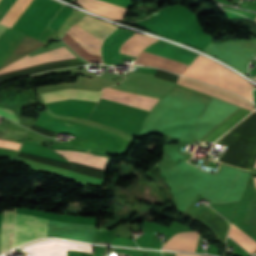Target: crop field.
<instances>
[{"label": "crop field", "instance_id": "5142ce71", "mask_svg": "<svg viewBox=\"0 0 256 256\" xmlns=\"http://www.w3.org/2000/svg\"><path fill=\"white\" fill-rule=\"evenodd\" d=\"M15 0H0V20L12 6Z\"/></svg>", "mask_w": 256, "mask_h": 256}, {"label": "crop field", "instance_id": "dd49c442", "mask_svg": "<svg viewBox=\"0 0 256 256\" xmlns=\"http://www.w3.org/2000/svg\"><path fill=\"white\" fill-rule=\"evenodd\" d=\"M76 58L72 53H70L64 46L54 49L52 51L46 52L44 54L35 56L30 58L28 55L25 57L17 60L16 62L12 63L11 65L3 68L0 70V74L10 72L13 70L51 63L56 61L68 60Z\"/></svg>", "mask_w": 256, "mask_h": 256}, {"label": "crop field", "instance_id": "28ad6ade", "mask_svg": "<svg viewBox=\"0 0 256 256\" xmlns=\"http://www.w3.org/2000/svg\"><path fill=\"white\" fill-rule=\"evenodd\" d=\"M56 152L66 157L70 161L101 168V169L104 168V165L107 159L105 157H100V156L76 152V151H56Z\"/></svg>", "mask_w": 256, "mask_h": 256}, {"label": "crop field", "instance_id": "e52e79f7", "mask_svg": "<svg viewBox=\"0 0 256 256\" xmlns=\"http://www.w3.org/2000/svg\"><path fill=\"white\" fill-rule=\"evenodd\" d=\"M103 98L114 100L127 105L135 106L138 108L150 110L154 104L159 101L158 99L145 97L137 94H132L124 91H119L111 88L103 89Z\"/></svg>", "mask_w": 256, "mask_h": 256}, {"label": "crop field", "instance_id": "733c2abd", "mask_svg": "<svg viewBox=\"0 0 256 256\" xmlns=\"http://www.w3.org/2000/svg\"><path fill=\"white\" fill-rule=\"evenodd\" d=\"M2 25V24H1ZM0 25V35L7 29L6 27H3Z\"/></svg>", "mask_w": 256, "mask_h": 256}, {"label": "crop field", "instance_id": "3316defc", "mask_svg": "<svg viewBox=\"0 0 256 256\" xmlns=\"http://www.w3.org/2000/svg\"><path fill=\"white\" fill-rule=\"evenodd\" d=\"M196 219L211 228L221 241L225 239L226 232L229 228V223L214 210L209 208L198 215Z\"/></svg>", "mask_w": 256, "mask_h": 256}, {"label": "crop field", "instance_id": "22f410ed", "mask_svg": "<svg viewBox=\"0 0 256 256\" xmlns=\"http://www.w3.org/2000/svg\"><path fill=\"white\" fill-rule=\"evenodd\" d=\"M14 211H4L1 225V253L10 249L9 239L13 228ZM11 244V240H10Z\"/></svg>", "mask_w": 256, "mask_h": 256}, {"label": "crop field", "instance_id": "dafd665d", "mask_svg": "<svg viewBox=\"0 0 256 256\" xmlns=\"http://www.w3.org/2000/svg\"><path fill=\"white\" fill-rule=\"evenodd\" d=\"M254 78L256 79V76Z\"/></svg>", "mask_w": 256, "mask_h": 256}, {"label": "crop field", "instance_id": "8a807250", "mask_svg": "<svg viewBox=\"0 0 256 256\" xmlns=\"http://www.w3.org/2000/svg\"><path fill=\"white\" fill-rule=\"evenodd\" d=\"M183 75L213 84L252 100L250 90L255 87L226 68L200 55L191 63Z\"/></svg>", "mask_w": 256, "mask_h": 256}, {"label": "crop field", "instance_id": "92a150f3", "mask_svg": "<svg viewBox=\"0 0 256 256\" xmlns=\"http://www.w3.org/2000/svg\"><path fill=\"white\" fill-rule=\"evenodd\" d=\"M254 20L256 21V18Z\"/></svg>", "mask_w": 256, "mask_h": 256}, {"label": "crop field", "instance_id": "ac0d7876", "mask_svg": "<svg viewBox=\"0 0 256 256\" xmlns=\"http://www.w3.org/2000/svg\"><path fill=\"white\" fill-rule=\"evenodd\" d=\"M178 84L192 88L198 91H201L203 93H206L208 95H212L221 99H224L230 103H233L235 105H238L240 107L253 110L254 106L252 103L225 91L219 90L217 88L211 87L209 85L185 78L180 77ZM241 108L238 110L234 115H232L228 120H226L222 125H220L216 130H214L210 135H208L204 140L202 141H211L213 142L215 139H217L219 136H221L224 132H226L229 128H231L233 125H235L237 122H239L242 118H244L250 111Z\"/></svg>", "mask_w": 256, "mask_h": 256}, {"label": "crop field", "instance_id": "412701ff", "mask_svg": "<svg viewBox=\"0 0 256 256\" xmlns=\"http://www.w3.org/2000/svg\"><path fill=\"white\" fill-rule=\"evenodd\" d=\"M48 220L16 212L13 247L44 238Z\"/></svg>", "mask_w": 256, "mask_h": 256}, {"label": "crop field", "instance_id": "bc2a9ffb", "mask_svg": "<svg viewBox=\"0 0 256 256\" xmlns=\"http://www.w3.org/2000/svg\"><path fill=\"white\" fill-rule=\"evenodd\" d=\"M255 179V185H256V178H254Z\"/></svg>", "mask_w": 256, "mask_h": 256}, {"label": "crop field", "instance_id": "d8731c3e", "mask_svg": "<svg viewBox=\"0 0 256 256\" xmlns=\"http://www.w3.org/2000/svg\"><path fill=\"white\" fill-rule=\"evenodd\" d=\"M54 113L70 116H78L88 119L94 103L87 102H77V101H68V102H59V103H50L46 104Z\"/></svg>", "mask_w": 256, "mask_h": 256}, {"label": "crop field", "instance_id": "cbeb9de0", "mask_svg": "<svg viewBox=\"0 0 256 256\" xmlns=\"http://www.w3.org/2000/svg\"><path fill=\"white\" fill-rule=\"evenodd\" d=\"M25 133L0 128V146L20 150Z\"/></svg>", "mask_w": 256, "mask_h": 256}, {"label": "crop field", "instance_id": "34b2d1b8", "mask_svg": "<svg viewBox=\"0 0 256 256\" xmlns=\"http://www.w3.org/2000/svg\"><path fill=\"white\" fill-rule=\"evenodd\" d=\"M74 25H76L101 43L104 38L116 28L109 23L95 19L84 13L79 16ZM74 25L67 34H69L70 36L84 44L86 47L100 55L101 43H99Z\"/></svg>", "mask_w": 256, "mask_h": 256}, {"label": "crop field", "instance_id": "4a817a6b", "mask_svg": "<svg viewBox=\"0 0 256 256\" xmlns=\"http://www.w3.org/2000/svg\"><path fill=\"white\" fill-rule=\"evenodd\" d=\"M210 159H211V160H213V161H215V160H214V159H212L211 157H210ZM215 162H217V161H215ZM217 163H219V162H217Z\"/></svg>", "mask_w": 256, "mask_h": 256}, {"label": "crop field", "instance_id": "5a996713", "mask_svg": "<svg viewBox=\"0 0 256 256\" xmlns=\"http://www.w3.org/2000/svg\"><path fill=\"white\" fill-rule=\"evenodd\" d=\"M200 232L177 233L168 240L163 249L195 252Z\"/></svg>", "mask_w": 256, "mask_h": 256}, {"label": "crop field", "instance_id": "d1516ede", "mask_svg": "<svg viewBox=\"0 0 256 256\" xmlns=\"http://www.w3.org/2000/svg\"><path fill=\"white\" fill-rule=\"evenodd\" d=\"M156 40L153 37L136 33L123 44L120 53L136 57L143 48Z\"/></svg>", "mask_w": 256, "mask_h": 256}, {"label": "crop field", "instance_id": "00972430", "mask_svg": "<svg viewBox=\"0 0 256 256\" xmlns=\"http://www.w3.org/2000/svg\"><path fill=\"white\" fill-rule=\"evenodd\" d=\"M255 166H256V164H255Z\"/></svg>", "mask_w": 256, "mask_h": 256}, {"label": "crop field", "instance_id": "f4fd0767", "mask_svg": "<svg viewBox=\"0 0 256 256\" xmlns=\"http://www.w3.org/2000/svg\"><path fill=\"white\" fill-rule=\"evenodd\" d=\"M33 256H66L67 250L93 251L92 245L63 240H43L22 248Z\"/></svg>", "mask_w": 256, "mask_h": 256}, {"label": "crop field", "instance_id": "d9b57169", "mask_svg": "<svg viewBox=\"0 0 256 256\" xmlns=\"http://www.w3.org/2000/svg\"><path fill=\"white\" fill-rule=\"evenodd\" d=\"M176 256H198V255L184 254V253H176Z\"/></svg>", "mask_w": 256, "mask_h": 256}, {"label": "crop field", "instance_id": "214f88e0", "mask_svg": "<svg viewBox=\"0 0 256 256\" xmlns=\"http://www.w3.org/2000/svg\"><path fill=\"white\" fill-rule=\"evenodd\" d=\"M135 64H137V63H135ZM139 65H141V64H139Z\"/></svg>", "mask_w": 256, "mask_h": 256}]
</instances>
